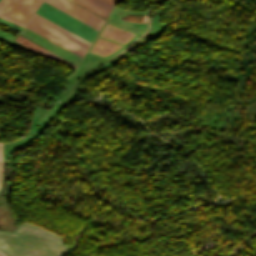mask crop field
<instances>
[{
	"label": "crop field",
	"instance_id": "733c2abd",
	"mask_svg": "<svg viewBox=\"0 0 256 256\" xmlns=\"http://www.w3.org/2000/svg\"><path fill=\"white\" fill-rule=\"evenodd\" d=\"M0 150H2L1 143H0Z\"/></svg>",
	"mask_w": 256,
	"mask_h": 256
},
{
	"label": "crop field",
	"instance_id": "5142ce71",
	"mask_svg": "<svg viewBox=\"0 0 256 256\" xmlns=\"http://www.w3.org/2000/svg\"><path fill=\"white\" fill-rule=\"evenodd\" d=\"M1 180H2V172H0V182H1Z\"/></svg>",
	"mask_w": 256,
	"mask_h": 256
},
{
	"label": "crop field",
	"instance_id": "22f410ed",
	"mask_svg": "<svg viewBox=\"0 0 256 256\" xmlns=\"http://www.w3.org/2000/svg\"><path fill=\"white\" fill-rule=\"evenodd\" d=\"M101 1H103L104 3H106V4H108V5L112 6V7H113V5H114L115 3L118 2V1H116V0H101Z\"/></svg>",
	"mask_w": 256,
	"mask_h": 256
},
{
	"label": "crop field",
	"instance_id": "8a807250",
	"mask_svg": "<svg viewBox=\"0 0 256 256\" xmlns=\"http://www.w3.org/2000/svg\"><path fill=\"white\" fill-rule=\"evenodd\" d=\"M57 235L22 222L18 233L0 232V251L6 256H60L68 247Z\"/></svg>",
	"mask_w": 256,
	"mask_h": 256
},
{
	"label": "crop field",
	"instance_id": "3316defc",
	"mask_svg": "<svg viewBox=\"0 0 256 256\" xmlns=\"http://www.w3.org/2000/svg\"><path fill=\"white\" fill-rule=\"evenodd\" d=\"M15 41H17V42H19V43H21V44H23V45H25V46L35 50V51H37V52H39V53H41V54H43V55H45V56H47V57L57 61V62H61V63L68 64V65H71V66H75V65L67 62L66 60H64V59L54 55L53 53L43 49L42 47H40V46L30 42L29 40H27V39H25V38H23V37H21L19 35H18V37L16 38ZM75 67H77V66H75Z\"/></svg>",
	"mask_w": 256,
	"mask_h": 256
},
{
	"label": "crop field",
	"instance_id": "d1516ede",
	"mask_svg": "<svg viewBox=\"0 0 256 256\" xmlns=\"http://www.w3.org/2000/svg\"><path fill=\"white\" fill-rule=\"evenodd\" d=\"M10 1L11 0H0V14L3 12Z\"/></svg>",
	"mask_w": 256,
	"mask_h": 256
},
{
	"label": "crop field",
	"instance_id": "cbeb9de0",
	"mask_svg": "<svg viewBox=\"0 0 256 256\" xmlns=\"http://www.w3.org/2000/svg\"><path fill=\"white\" fill-rule=\"evenodd\" d=\"M0 171H2V160H0Z\"/></svg>",
	"mask_w": 256,
	"mask_h": 256
},
{
	"label": "crop field",
	"instance_id": "e52e79f7",
	"mask_svg": "<svg viewBox=\"0 0 256 256\" xmlns=\"http://www.w3.org/2000/svg\"><path fill=\"white\" fill-rule=\"evenodd\" d=\"M30 21L40 25L41 27L51 31L52 33L64 38L65 40L75 44L76 46H78L86 51L91 44L35 13Z\"/></svg>",
	"mask_w": 256,
	"mask_h": 256
},
{
	"label": "crop field",
	"instance_id": "d9b57169",
	"mask_svg": "<svg viewBox=\"0 0 256 256\" xmlns=\"http://www.w3.org/2000/svg\"><path fill=\"white\" fill-rule=\"evenodd\" d=\"M0 159H2V151H0Z\"/></svg>",
	"mask_w": 256,
	"mask_h": 256
},
{
	"label": "crop field",
	"instance_id": "28ad6ade",
	"mask_svg": "<svg viewBox=\"0 0 256 256\" xmlns=\"http://www.w3.org/2000/svg\"><path fill=\"white\" fill-rule=\"evenodd\" d=\"M0 23H3V24H5V25H7V26H10V27H12V28H15V29H17V30H21V26H19V25H16V24H14V23H11V22H9V21H6V20H4V19H1L0 18Z\"/></svg>",
	"mask_w": 256,
	"mask_h": 256
},
{
	"label": "crop field",
	"instance_id": "dd49c442",
	"mask_svg": "<svg viewBox=\"0 0 256 256\" xmlns=\"http://www.w3.org/2000/svg\"><path fill=\"white\" fill-rule=\"evenodd\" d=\"M20 35L28 38L29 40L39 44L40 46L48 49L49 51L57 54L58 56L68 60L69 62L77 66L82 59L25 27Z\"/></svg>",
	"mask_w": 256,
	"mask_h": 256
},
{
	"label": "crop field",
	"instance_id": "ac0d7876",
	"mask_svg": "<svg viewBox=\"0 0 256 256\" xmlns=\"http://www.w3.org/2000/svg\"><path fill=\"white\" fill-rule=\"evenodd\" d=\"M35 13L91 43L98 31L44 1Z\"/></svg>",
	"mask_w": 256,
	"mask_h": 256
},
{
	"label": "crop field",
	"instance_id": "34b2d1b8",
	"mask_svg": "<svg viewBox=\"0 0 256 256\" xmlns=\"http://www.w3.org/2000/svg\"><path fill=\"white\" fill-rule=\"evenodd\" d=\"M136 33L120 29L111 25H106L105 29L101 33V36H104L106 38L112 39L114 41L120 42L124 44L126 41H128L131 37H133ZM121 45L103 40L98 38L95 45L91 49V52L100 54V55H108L111 52L118 49Z\"/></svg>",
	"mask_w": 256,
	"mask_h": 256
},
{
	"label": "crop field",
	"instance_id": "bc2a9ffb",
	"mask_svg": "<svg viewBox=\"0 0 256 256\" xmlns=\"http://www.w3.org/2000/svg\"><path fill=\"white\" fill-rule=\"evenodd\" d=\"M120 1V0H119Z\"/></svg>",
	"mask_w": 256,
	"mask_h": 256
},
{
	"label": "crop field",
	"instance_id": "4a817a6b",
	"mask_svg": "<svg viewBox=\"0 0 256 256\" xmlns=\"http://www.w3.org/2000/svg\"><path fill=\"white\" fill-rule=\"evenodd\" d=\"M0 256H2V255L0 254Z\"/></svg>",
	"mask_w": 256,
	"mask_h": 256
},
{
	"label": "crop field",
	"instance_id": "5a996713",
	"mask_svg": "<svg viewBox=\"0 0 256 256\" xmlns=\"http://www.w3.org/2000/svg\"><path fill=\"white\" fill-rule=\"evenodd\" d=\"M79 5L91 10L92 12L106 18L112 7L99 0H72Z\"/></svg>",
	"mask_w": 256,
	"mask_h": 256
},
{
	"label": "crop field",
	"instance_id": "d8731c3e",
	"mask_svg": "<svg viewBox=\"0 0 256 256\" xmlns=\"http://www.w3.org/2000/svg\"><path fill=\"white\" fill-rule=\"evenodd\" d=\"M25 27L33 30L34 32L44 36L45 38L53 41L54 43L62 46L63 48L73 52L74 54H76L80 57H83L84 53L86 52V51L76 47L75 45L65 41L64 39L52 34L51 32L41 28L40 26L30 22V21L28 22V24Z\"/></svg>",
	"mask_w": 256,
	"mask_h": 256
},
{
	"label": "crop field",
	"instance_id": "412701ff",
	"mask_svg": "<svg viewBox=\"0 0 256 256\" xmlns=\"http://www.w3.org/2000/svg\"><path fill=\"white\" fill-rule=\"evenodd\" d=\"M42 0H12L1 17L21 26L27 22Z\"/></svg>",
	"mask_w": 256,
	"mask_h": 256
},
{
	"label": "crop field",
	"instance_id": "f4fd0767",
	"mask_svg": "<svg viewBox=\"0 0 256 256\" xmlns=\"http://www.w3.org/2000/svg\"><path fill=\"white\" fill-rule=\"evenodd\" d=\"M88 25L99 30L104 19L88 12L87 10L69 2L68 0H44Z\"/></svg>",
	"mask_w": 256,
	"mask_h": 256
}]
</instances>
